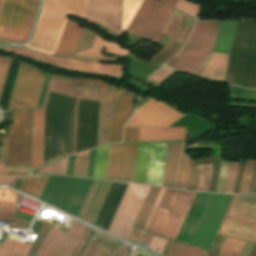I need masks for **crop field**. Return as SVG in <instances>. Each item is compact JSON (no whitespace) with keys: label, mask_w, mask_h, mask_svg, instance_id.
I'll use <instances>...</instances> for the list:
<instances>
[{"label":"crop field","mask_w":256,"mask_h":256,"mask_svg":"<svg viewBox=\"0 0 256 256\" xmlns=\"http://www.w3.org/2000/svg\"><path fill=\"white\" fill-rule=\"evenodd\" d=\"M139 128H124V141H138Z\"/></svg>","instance_id":"61"},{"label":"crop field","mask_w":256,"mask_h":256,"mask_svg":"<svg viewBox=\"0 0 256 256\" xmlns=\"http://www.w3.org/2000/svg\"><path fill=\"white\" fill-rule=\"evenodd\" d=\"M106 47L105 53L113 54V55H126L128 51L123 50L119 47V45L115 43H109L107 40L100 38L98 35H96L95 40L93 42V45L90 50L83 51L80 53H77L76 55H85V56H99L104 57L99 52L103 47Z\"/></svg>","instance_id":"31"},{"label":"crop field","mask_w":256,"mask_h":256,"mask_svg":"<svg viewBox=\"0 0 256 256\" xmlns=\"http://www.w3.org/2000/svg\"><path fill=\"white\" fill-rule=\"evenodd\" d=\"M1 49L14 52L17 54H21L53 66L66 68L70 70L101 74V75L120 77L122 74L123 66H124V65L105 64V63L82 61V60L60 59V58L32 52L19 47L1 48Z\"/></svg>","instance_id":"9"},{"label":"crop field","mask_w":256,"mask_h":256,"mask_svg":"<svg viewBox=\"0 0 256 256\" xmlns=\"http://www.w3.org/2000/svg\"><path fill=\"white\" fill-rule=\"evenodd\" d=\"M84 229L85 226L74 223L68 235L62 234L52 256H70Z\"/></svg>","instance_id":"27"},{"label":"crop field","mask_w":256,"mask_h":256,"mask_svg":"<svg viewBox=\"0 0 256 256\" xmlns=\"http://www.w3.org/2000/svg\"><path fill=\"white\" fill-rule=\"evenodd\" d=\"M15 213L0 212V221L13 222Z\"/></svg>","instance_id":"67"},{"label":"crop field","mask_w":256,"mask_h":256,"mask_svg":"<svg viewBox=\"0 0 256 256\" xmlns=\"http://www.w3.org/2000/svg\"><path fill=\"white\" fill-rule=\"evenodd\" d=\"M116 87L107 84L99 109L98 146L109 142L111 109Z\"/></svg>","instance_id":"19"},{"label":"crop field","mask_w":256,"mask_h":256,"mask_svg":"<svg viewBox=\"0 0 256 256\" xmlns=\"http://www.w3.org/2000/svg\"><path fill=\"white\" fill-rule=\"evenodd\" d=\"M182 191L167 189L149 230L163 235Z\"/></svg>","instance_id":"18"},{"label":"crop field","mask_w":256,"mask_h":256,"mask_svg":"<svg viewBox=\"0 0 256 256\" xmlns=\"http://www.w3.org/2000/svg\"><path fill=\"white\" fill-rule=\"evenodd\" d=\"M6 159H0V162H5Z\"/></svg>","instance_id":"75"},{"label":"crop field","mask_w":256,"mask_h":256,"mask_svg":"<svg viewBox=\"0 0 256 256\" xmlns=\"http://www.w3.org/2000/svg\"><path fill=\"white\" fill-rule=\"evenodd\" d=\"M194 167L197 173L196 190L207 191L211 179L212 163Z\"/></svg>","instance_id":"40"},{"label":"crop field","mask_w":256,"mask_h":256,"mask_svg":"<svg viewBox=\"0 0 256 256\" xmlns=\"http://www.w3.org/2000/svg\"><path fill=\"white\" fill-rule=\"evenodd\" d=\"M176 8H178L194 17H197L198 12L200 10V7H198L194 4H191L185 0H179L176 5Z\"/></svg>","instance_id":"52"},{"label":"crop field","mask_w":256,"mask_h":256,"mask_svg":"<svg viewBox=\"0 0 256 256\" xmlns=\"http://www.w3.org/2000/svg\"><path fill=\"white\" fill-rule=\"evenodd\" d=\"M29 247V244L5 239L0 248V256H25Z\"/></svg>","instance_id":"35"},{"label":"crop field","mask_w":256,"mask_h":256,"mask_svg":"<svg viewBox=\"0 0 256 256\" xmlns=\"http://www.w3.org/2000/svg\"><path fill=\"white\" fill-rule=\"evenodd\" d=\"M202 251L200 247L173 242L167 256H201Z\"/></svg>","instance_id":"41"},{"label":"crop field","mask_w":256,"mask_h":256,"mask_svg":"<svg viewBox=\"0 0 256 256\" xmlns=\"http://www.w3.org/2000/svg\"><path fill=\"white\" fill-rule=\"evenodd\" d=\"M17 204H11V203H0V207H11L16 208Z\"/></svg>","instance_id":"69"},{"label":"crop field","mask_w":256,"mask_h":256,"mask_svg":"<svg viewBox=\"0 0 256 256\" xmlns=\"http://www.w3.org/2000/svg\"><path fill=\"white\" fill-rule=\"evenodd\" d=\"M225 217L256 223V194L234 195ZM227 218L218 233L256 242V224Z\"/></svg>","instance_id":"3"},{"label":"crop field","mask_w":256,"mask_h":256,"mask_svg":"<svg viewBox=\"0 0 256 256\" xmlns=\"http://www.w3.org/2000/svg\"><path fill=\"white\" fill-rule=\"evenodd\" d=\"M166 241L167 240L162 239V238L154 235V237H153V239H152V241H151V243H150L148 248H150V249H152V250H154V251H156L158 253H161V251H162Z\"/></svg>","instance_id":"59"},{"label":"crop field","mask_w":256,"mask_h":256,"mask_svg":"<svg viewBox=\"0 0 256 256\" xmlns=\"http://www.w3.org/2000/svg\"><path fill=\"white\" fill-rule=\"evenodd\" d=\"M183 15H184L183 13H181L177 10H174L163 34L166 35L168 38L172 39Z\"/></svg>","instance_id":"46"},{"label":"crop field","mask_w":256,"mask_h":256,"mask_svg":"<svg viewBox=\"0 0 256 256\" xmlns=\"http://www.w3.org/2000/svg\"><path fill=\"white\" fill-rule=\"evenodd\" d=\"M206 52L182 49L181 52L166 64L192 74Z\"/></svg>","instance_id":"26"},{"label":"crop field","mask_w":256,"mask_h":256,"mask_svg":"<svg viewBox=\"0 0 256 256\" xmlns=\"http://www.w3.org/2000/svg\"><path fill=\"white\" fill-rule=\"evenodd\" d=\"M194 21V18L185 14L172 41H174L177 45L182 47Z\"/></svg>","instance_id":"42"},{"label":"crop field","mask_w":256,"mask_h":256,"mask_svg":"<svg viewBox=\"0 0 256 256\" xmlns=\"http://www.w3.org/2000/svg\"><path fill=\"white\" fill-rule=\"evenodd\" d=\"M11 58L0 57V96L4 86L5 78L9 68Z\"/></svg>","instance_id":"55"},{"label":"crop field","mask_w":256,"mask_h":256,"mask_svg":"<svg viewBox=\"0 0 256 256\" xmlns=\"http://www.w3.org/2000/svg\"><path fill=\"white\" fill-rule=\"evenodd\" d=\"M160 189L161 188H156V187H151L150 188V190L148 192V195L145 199V202H144V204L141 208V211L138 215L135 226H139V227H142V228L144 227Z\"/></svg>","instance_id":"34"},{"label":"crop field","mask_w":256,"mask_h":256,"mask_svg":"<svg viewBox=\"0 0 256 256\" xmlns=\"http://www.w3.org/2000/svg\"><path fill=\"white\" fill-rule=\"evenodd\" d=\"M229 164H222L216 192H223Z\"/></svg>","instance_id":"58"},{"label":"crop field","mask_w":256,"mask_h":256,"mask_svg":"<svg viewBox=\"0 0 256 256\" xmlns=\"http://www.w3.org/2000/svg\"><path fill=\"white\" fill-rule=\"evenodd\" d=\"M239 163L230 164L224 192L232 193Z\"/></svg>","instance_id":"49"},{"label":"crop field","mask_w":256,"mask_h":256,"mask_svg":"<svg viewBox=\"0 0 256 256\" xmlns=\"http://www.w3.org/2000/svg\"><path fill=\"white\" fill-rule=\"evenodd\" d=\"M181 114L157 101H149L136 111L126 126H169Z\"/></svg>","instance_id":"11"},{"label":"crop field","mask_w":256,"mask_h":256,"mask_svg":"<svg viewBox=\"0 0 256 256\" xmlns=\"http://www.w3.org/2000/svg\"><path fill=\"white\" fill-rule=\"evenodd\" d=\"M249 256H256V244L253 245V247L249 253Z\"/></svg>","instance_id":"72"},{"label":"crop field","mask_w":256,"mask_h":256,"mask_svg":"<svg viewBox=\"0 0 256 256\" xmlns=\"http://www.w3.org/2000/svg\"><path fill=\"white\" fill-rule=\"evenodd\" d=\"M18 194L7 189H0V201L17 203Z\"/></svg>","instance_id":"57"},{"label":"crop field","mask_w":256,"mask_h":256,"mask_svg":"<svg viewBox=\"0 0 256 256\" xmlns=\"http://www.w3.org/2000/svg\"><path fill=\"white\" fill-rule=\"evenodd\" d=\"M136 256H147V255H145V254H143V253H141V252L138 251V253H137Z\"/></svg>","instance_id":"74"},{"label":"crop field","mask_w":256,"mask_h":256,"mask_svg":"<svg viewBox=\"0 0 256 256\" xmlns=\"http://www.w3.org/2000/svg\"><path fill=\"white\" fill-rule=\"evenodd\" d=\"M30 225L29 222H25V221H21V220H17L15 219V222L12 226V228H22V229H26L28 228Z\"/></svg>","instance_id":"68"},{"label":"crop field","mask_w":256,"mask_h":256,"mask_svg":"<svg viewBox=\"0 0 256 256\" xmlns=\"http://www.w3.org/2000/svg\"><path fill=\"white\" fill-rule=\"evenodd\" d=\"M44 76L37 68L20 62L6 111L35 108Z\"/></svg>","instance_id":"4"},{"label":"crop field","mask_w":256,"mask_h":256,"mask_svg":"<svg viewBox=\"0 0 256 256\" xmlns=\"http://www.w3.org/2000/svg\"><path fill=\"white\" fill-rule=\"evenodd\" d=\"M82 29L75 21L69 19L55 54H73Z\"/></svg>","instance_id":"24"},{"label":"crop field","mask_w":256,"mask_h":256,"mask_svg":"<svg viewBox=\"0 0 256 256\" xmlns=\"http://www.w3.org/2000/svg\"><path fill=\"white\" fill-rule=\"evenodd\" d=\"M7 173L5 163H0V174Z\"/></svg>","instance_id":"71"},{"label":"crop field","mask_w":256,"mask_h":256,"mask_svg":"<svg viewBox=\"0 0 256 256\" xmlns=\"http://www.w3.org/2000/svg\"><path fill=\"white\" fill-rule=\"evenodd\" d=\"M175 72H176V70L171 69L167 66H163L158 72H156L152 76H150V79H153V80L163 83Z\"/></svg>","instance_id":"53"},{"label":"crop field","mask_w":256,"mask_h":256,"mask_svg":"<svg viewBox=\"0 0 256 256\" xmlns=\"http://www.w3.org/2000/svg\"><path fill=\"white\" fill-rule=\"evenodd\" d=\"M42 110H34L32 166L39 167Z\"/></svg>","instance_id":"33"},{"label":"crop field","mask_w":256,"mask_h":256,"mask_svg":"<svg viewBox=\"0 0 256 256\" xmlns=\"http://www.w3.org/2000/svg\"><path fill=\"white\" fill-rule=\"evenodd\" d=\"M22 176L24 175H0V183L6 185Z\"/></svg>","instance_id":"65"},{"label":"crop field","mask_w":256,"mask_h":256,"mask_svg":"<svg viewBox=\"0 0 256 256\" xmlns=\"http://www.w3.org/2000/svg\"><path fill=\"white\" fill-rule=\"evenodd\" d=\"M129 93L123 89L117 90L112 110L110 142H121L122 126L133 111L135 96Z\"/></svg>","instance_id":"14"},{"label":"crop field","mask_w":256,"mask_h":256,"mask_svg":"<svg viewBox=\"0 0 256 256\" xmlns=\"http://www.w3.org/2000/svg\"><path fill=\"white\" fill-rule=\"evenodd\" d=\"M173 42L171 41L161 52L153 56L150 62L161 66L170 57L174 56L181 48Z\"/></svg>","instance_id":"45"},{"label":"crop field","mask_w":256,"mask_h":256,"mask_svg":"<svg viewBox=\"0 0 256 256\" xmlns=\"http://www.w3.org/2000/svg\"><path fill=\"white\" fill-rule=\"evenodd\" d=\"M206 253H207V251H204V253H203V255H202V256H205V255H206Z\"/></svg>","instance_id":"76"},{"label":"crop field","mask_w":256,"mask_h":256,"mask_svg":"<svg viewBox=\"0 0 256 256\" xmlns=\"http://www.w3.org/2000/svg\"><path fill=\"white\" fill-rule=\"evenodd\" d=\"M186 128H140L139 141L186 139Z\"/></svg>","instance_id":"25"},{"label":"crop field","mask_w":256,"mask_h":256,"mask_svg":"<svg viewBox=\"0 0 256 256\" xmlns=\"http://www.w3.org/2000/svg\"><path fill=\"white\" fill-rule=\"evenodd\" d=\"M88 161L76 158L74 176L86 177Z\"/></svg>","instance_id":"56"},{"label":"crop field","mask_w":256,"mask_h":256,"mask_svg":"<svg viewBox=\"0 0 256 256\" xmlns=\"http://www.w3.org/2000/svg\"><path fill=\"white\" fill-rule=\"evenodd\" d=\"M108 148L109 145L97 149L93 177L104 179Z\"/></svg>","instance_id":"43"},{"label":"crop field","mask_w":256,"mask_h":256,"mask_svg":"<svg viewBox=\"0 0 256 256\" xmlns=\"http://www.w3.org/2000/svg\"><path fill=\"white\" fill-rule=\"evenodd\" d=\"M33 110L26 111L24 165L31 166Z\"/></svg>","instance_id":"36"},{"label":"crop field","mask_w":256,"mask_h":256,"mask_svg":"<svg viewBox=\"0 0 256 256\" xmlns=\"http://www.w3.org/2000/svg\"><path fill=\"white\" fill-rule=\"evenodd\" d=\"M152 237H153L152 234L134 228L129 240L134 242V243H139V244L148 246Z\"/></svg>","instance_id":"48"},{"label":"crop field","mask_w":256,"mask_h":256,"mask_svg":"<svg viewBox=\"0 0 256 256\" xmlns=\"http://www.w3.org/2000/svg\"><path fill=\"white\" fill-rule=\"evenodd\" d=\"M112 183L94 180L77 217L94 224Z\"/></svg>","instance_id":"13"},{"label":"crop field","mask_w":256,"mask_h":256,"mask_svg":"<svg viewBox=\"0 0 256 256\" xmlns=\"http://www.w3.org/2000/svg\"><path fill=\"white\" fill-rule=\"evenodd\" d=\"M106 83L86 80L81 98L101 100Z\"/></svg>","instance_id":"37"},{"label":"crop field","mask_w":256,"mask_h":256,"mask_svg":"<svg viewBox=\"0 0 256 256\" xmlns=\"http://www.w3.org/2000/svg\"><path fill=\"white\" fill-rule=\"evenodd\" d=\"M90 241L101 246V247H104L114 253H116L120 247H122V248L125 247V245H123L113 239H110L96 231L94 232ZM91 242H89V244L82 256H128V254L131 250V248L126 246L124 249L120 248L119 251L116 254H114V253H112L104 248H101Z\"/></svg>","instance_id":"17"},{"label":"crop field","mask_w":256,"mask_h":256,"mask_svg":"<svg viewBox=\"0 0 256 256\" xmlns=\"http://www.w3.org/2000/svg\"><path fill=\"white\" fill-rule=\"evenodd\" d=\"M136 253H137V251H135V253H134V255H133V256H135V255H136Z\"/></svg>","instance_id":"77"},{"label":"crop field","mask_w":256,"mask_h":256,"mask_svg":"<svg viewBox=\"0 0 256 256\" xmlns=\"http://www.w3.org/2000/svg\"><path fill=\"white\" fill-rule=\"evenodd\" d=\"M49 227L50 226H48V225L43 223V225H42V227H41V229H40L36 239L34 240V242H33L32 246H31L27 256H34L35 255V253L38 250L42 240L44 239V237H45Z\"/></svg>","instance_id":"50"},{"label":"crop field","mask_w":256,"mask_h":256,"mask_svg":"<svg viewBox=\"0 0 256 256\" xmlns=\"http://www.w3.org/2000/svg\"><path fill=\"white\" fill-rule=\"evenodd\" d=\"M18 63L19 62L14 60V59L11 60L10 68H9V71H8L5 86H4L3 93H2V96H1V100H0V107L4 111L6 110V106H7V103H8L9 95H10L11 88H12V85H13V81H14V78H15Z\"/></svg>","instance_id":"39"},{"label":"crop field","mask_w":256,"mask_h":256,"mask_svg":"<svg viewBox=\"0 0 256 256\" xmlns=\"http://www.w3.org/2000/svg\"><path fill=\"white\" fill-rule=\"evenodd\" d=\"M232 195L211 194L190 243L209 249Z\"/></svg>","instance_id":"7"},{"label":"crop field","mask_w":256,"mask_h":256,"mask_svg":"<svg viewBox=\"0 0 256 256\" xmlns=\"http://www.w3.org/2000/svg\"><path fill=\"white\" fill-rule=\"evenodd\" d=\"M89 234H90V231L85 229L80 241L78 242V244H77V246H76V248H75V250H74V252L71 256H78L79 255V253H80L83 245L85 244Z\"/></svg>","instance_id":"62"},{"label":"crop field","mask_w":256,"mask_h":256,"mask_svg":"<svg viewBox=\"0 0 256 256\" xmlns=\"http://www.w3.org/2000/svg\"><path fill=\"white\" fill-rule=\"evenodd\" d=\"M127 184L128 183H113L95 223L96 226L101 225L103 229L108 230Z\"/></svg>","instance_id":"20"},{"label":"crop field","mask_w":256,"mask_h":256,"mask_svg":"<svg viewBox=\"0 0 256 256\" xmlns=\"http://www.w3.org/2000/svg\"><path fill=\"white\" fill-rule=\"evenodd\" d=\"M165 190L166 189H164V188H162L161 189V191H160V193H159V195H158V198H157V200H156V202H155V205H154V207H153V209H152V211H151V214H150V216H149V218H148V221H147V223H146V225H145V229H149V227H150V225H151V222H152V220H153V218H154V215H155V213H156V211H157V208H158V206H159V204H160V201H161V199H162V197H163V194H164V192H165Z\"/></svg>","instance_id":"60"},{"label":"crop field","mask_w":256,"mask_h":256,"mask_svg":"<svg viewBox=\"0 0 256 256\" xmlns=\"http://www.w3.org/2000/svg\"><path fill=\"white\" fill-rule=\"evenodd\" d=\"M237 20L220 21L213 52L229 54Z\"/></svg>","instance_id":"23"},{"label":"crop field","mask_w":256,"mask_h":256,"mask_svg":"<svg viewBox=\"0 0 256 256\" xmlns=\"http://www.w3.org/2000/svg\"><path fill=\"white\" fill-rule=\"evenodd\" d=\"M61 234L62 231L51 227L36 256H51Z\"/></svg>","instance_id":"38"},{"label":"crop field","mask_w":256,"mask_h":256,"mask_svg":"<svg viewBox=\"0 0 256 256\" xmlns=\"http://www.w3.org/2000/svg\"><path fill=\"white\" fill-rule=\"evenodd\" d=\"M85 80H78V79H68L62 77H55L52 76L50 80V84L47 90V94L43 104V119H42V139H41V158H40V166L51 162L48 161L43 164V149H44V123H45V107L48 99L49 93H56V94H68V95H76L78 96L76 107H75V124H74V144H73V153H75V142H76V120H77V108L80 100L81 91L84 85ZM70 154H65L60 157H64ZM58 157V158H60ZM56 158V159H58ZM54 159V160H56ZM52 160V161H54Z\"/></svg>","instance_id":"12"},{"label":"crop field","mask_w":256,"mask_h":256,"mask_svg":"<svg viewBox=\"0 0 256 256\" xmlns=\"http://www.w3.org/2000/svg\"><path fill=\"white\" fill-rule=\"evenodd\" d=\"M218 23L197 20L184 48L212 52Z\"/></svg>","instance_id":"16"},{"label":"crop field","mask_w":256,"mask_h":256,"mask_svg":"<svg viewBox=\"0 0 256 256\" xmlns=\"http://www.w3.org/2000/svg\"><path fill=\"white\" fill-rule=\"evenodd\" d=\"M211 53L207 52V54L205 55V57L202 59V61L200 62V64L198 65V67L195 69V71L193 72V75L200 77L209 57H210Z\"/></svg>","instance_id":"64"},{"label":"crop field","mask_w":256,"mask_h":256,"mask_svg":"<svg viewBox=\"0 0 256 256\" xmlns=\"http://www.w3.org/2000/svg\"><path fill=\"white\" fill-rule=\"evenodd\" d=\"M95 35L96 33L84 28L74 53L89 49L92 45Z\"/></svg>","instance_id":"47"},{"label":"crop field","mask_w":256,"mask_h":256,"mask_svg":"<svg viewBox=\"0 0 256 256\" xmlns=\"http://www.w3.org/2000/svg\"><path fill=\"white\" fill-rule=\"evenodd\" d=\"M244 243V241L227 237L219 256H239Z\"/></svg>","instance_id":"44"},{"label":"crop field","mask_w":256,"mask_h":256,"mask_svg":"<svg viewBox=\"0 0 256 256\" xmlns=\"http://www.w3.org/2000/svg\"><path fill=\"white\" fill-rule=\"evenodd\" d=\"M195 194V192H182L174 213L167 226V229L164 233V237L174 240L176 239Z\"/></svg>","instance_id":"21"},{"label":"crop field","mask_w":256,"mask_h":256,"mask_svg":"<svg viewBox=\"0 0 256 256\" xmlns=\"http://www.w3.org/2000/svg\"><path fill=\"white\" fill-rule=\"evenodd\" d=\"M171 126H187L189 140L215 129L212 125L201 118H196L187 114L177 120Z\"/></svg>","instance_id":"28"},{"label":"crop field","mask_w":256,"mask_h":256,"mask_svg":"<svg viewBox=\"0 0 256 256\" xmlns=\"http://www.w3.org/2000/svg\"><path fill=\"white\" fill-rule=\"evenodd\" d=\"M49 176H29L21 181L18 189L39 198Z\"/></svg>","instance_id":"32"},{"label":"crop field","mask_w":256,"mask_h":256,"mask_svg":"<svg viewBox=\"0 0 256 256\" xmlns=\"http://www.w3.org/2000/svg\"><path fill=\"white\" fill-rule=\"evenodd\" d=\"M228 55L213 53L204 72L205 74L224 77ZM202 74V79L222 82L224 78Z\"/></svg>","instance_id":"29"},{"label":"crop field","mask_w":256,"mask_h":256,"mask_svg":"<svg viewBox=\"0 0 256 256\" xmlns=\"http://www.w3.org/2000/svg\"><path fill=\"white\" fill-rule=\"evenodd\" d=\"M16 209L0 208V211L15 212Z\"/></svg>","instance_id":"73"},{"label":"crop field","mask_w":256,"mask_h":256,"mask_svg":"<svg viewBox=\"0 0 256 256\" xmlns=\"http://www.w3.org/2000/svg\"><path fill=\"white\" fill-rule=\"evenodd\" d=\"M190 166L185 141L167 142L162 186L187 189Z\"/></svg>","instance_id":"8"},{"label":"crop field","mask_w":256,"mask_h":256,"mask_svg":"<svg viewBox=\"0 0 256 256\" xmlns=\"http://www.w3.org/2000/svg\"><path fill=\"white\" fill-rule=\"evenodd\" d=\"M151 143H139L133 182L145 184Z\"/></svg>","instance_id":"30"},{"label":"crop field","mask_w":256,"mask_h":256,"mask_svg":"<svg viewBox=\"0 0 256 256\" xmlns=\"http://www.w3.org/2000/svg\"><path fill=\"white\" fill-rule=\"evenodd\" d=\"M138 143L111 144L105 179L132 182Z\"/></svg>","instance_id":"10"},{"label":"crop field","mask_w":256,"mask_h":256,"mask_svg":"<svg viewBox=\"0 0 256 256\" xmlns=\"http://www.w3.org/2000/svg\"><path fill=\"white\" fill-rule=\"evenodd\" d=\"M256 192V161L254 163V168L252 172L251 182L249 186L248 193H255Z\"/></svg>","instance_id":"66"},{"label":"crop field","mask_w":256,"mask_h":256,"mask_svg":"<svg viewBox=\"0 0 256 256\" xmlns=\"http://www.w3.org/2000/svg\"><path fill=\"white\" fill-rule=\"evenodd\" d=\"M38 0H0V38L18 43L30 34Z\"/></svg>","instance_id":"2"},{"label":"crop field","mask_w":256,"mask_h":256,"mask_svg":"<svg viewBox=\"0 0 256 256\" xmlns=\"http://www.w3.org/2000/svg\"><path fill=\"white\" fill-rule=\"evenodd\" d=\"M150 187L129 183L109 232L128 239L133 223Z\"/></svg>","instance_id":"6"},{"label":"crop field","mask_w":256,"mask_h":256,"mask_svg":"<svg viewBox=\"0 0 256 256\" xmlns=\"http://www.w3.org/2000/svg\"><path fill=\"white\" fill-rule=\"evenodd\" d=\"M10 125L7 164L23 165L25 111L13 112Z\"/></svg>","instance_id":"15"},{"label":"crop field","mask_w":256,"mask_h":256,"mask_svg":"<svg viewBox=\"0 0 256 256\" xmlns=\"http://www.w3.org/2000/svg\"><path fill=\"white\" fill-rule=\"evenodd\" d=\"M143 0H46L33 41L24 47L54 54L67 14L90 19L123 35Z\"/></svg>","instance_id":"1"},{"label":"crop field","mask_w":256,"mask_h":256,"mask_svg":"<svg viewBox=\"0 0 256 256\" xmlns=\"http://www.w3.org/2000/svg\"><path fill=\"white\" fill-rule=\"evenodd\" d=\"M254 161L247 160L239 193H247Z\"/></svg>","instance_id":"51"},{"label":"crop field","mask_w":256,"mask_h":256,"mask_svg":"<svg viewBox=\"0 0 256 256\" xmlns=\"http://www.w3.org/2000/svg\"><path fill=\"white\" fill-rule=\"evenodd\" d=\"M173 10L158 0H144L131 22L128 32L158 42Z\"/></svg>","instance_id":"5"},{"label":"crop field","mask_w":256,"mask_h":256,"mask_svg":"<svg viewBox=\"0 0 256 256\" xmlns=\"http://www.w3.org/2000/svg\"><path fill=\"white\" fill-rule=\"evenodd\" d=\"M161 1H163V2H165V3H167V4H169V5H171V6H175V4H176V2H177V0H161Z\"/></svg>","instance_id":"70"},{"label":"crop field","mask_w":256,"mask_h":256,"mask_svg":"<svg viewBox=\"0 0 256 256\" xmlns=\"http://www.w3.org/2000/svg\"><path fill=\"white\" fill-rule=\"evenodd\" d=\"M58 57H70V58H79V59H88V60H95V61H113L116 62L117 57H104V58H95V57H85V56H58Z\"/></svg>","instance_id":"63"},{"label":"crop field","mask_w":256,"mask_h":256,"mask_svg":"<svg viewBox=\"0 0 256 256\" xmlns=\"http://www.w3.org/2000/svg\"><path fill=\"white\" fill-rule=\"evenodd\" d=\"M67 160H68V158L63 160V161H60L56 164L53 163L54 165L48 166V167L44 168L43 170H41L39 172L65 175Z\"/></svg>","instance_id":"54"},{"label":"crop field","mask_w":256,"mask_h":256,"mask_svg":"<svg viewBox=\"0 0 256 256\" xmlns=\"http://www.w3.org/2000/svg\"><path fill=\"white\" fill-rule=\"evenodd\" d=\"M166 142L152 143L146 184L161 186Z\"/></svg>","instance_id":"22"}]
</instances>
